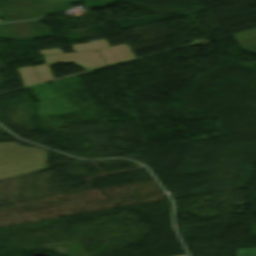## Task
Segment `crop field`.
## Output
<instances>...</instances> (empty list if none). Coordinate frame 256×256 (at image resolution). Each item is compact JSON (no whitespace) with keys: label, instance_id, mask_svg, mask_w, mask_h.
Listing matches in <instances>:
<instances>
[{"label":"crop field","instance_id":"8a807250","mask_svg":"<svg viewBox=\"0 0 256 256\" xmlns=\"http://www.w3.org/2000/svg\"><path fill=\"white\" fill-rule=\"evenodd\" d=\"M48 153L16 143L0 144V180L49 169Z\"/></svg>","mask_w":256,"mask_h":256},{"label":"crop field","instance_id":"ac0d7876","mask_svg":"<svg viewBox=\"0 0 256 256\" xmlns=\"http://www.w3.org/2000/svg\"><path fill=\"white\" fill-rule=\"evenodd\" d=\"M0 37L16 40L31 39L26 22L1 24Z\"/></svg>","mask_w":256,"mask_h":256},{"label":"crop field","instance_id":"34b2d1b8","mask_svg":"<svg viewBox=\"0 0 256 256\" xmlns=\"http://www.w3.org/2000/svg\"><path fill=\"white\" fill-rule=\"evenodd\" d=\"M0 18L4 19V20L1 21L0 23H2V22H10V21L25 20V19H23V18L16 17V16H13V15H10V14L4 13V12H1V11H0Z\"/></svg>","mask_w":256,"mask_h":256},{"label":"crop field","instance_id":"412701ff","mask_svg":"<svg viewBox=\"0 0 256 256\" xmlns=\"http://www.w3.org/2000/svg\"><path fill=\"white\" fill-rule=\"evenodd\" d=\"M237 256H256V248L236 250Z\"/></svg>","mask_w":256,"mask_h":256},{"label":"crop field","instance_id":"f4fd0767","mask_svg":"<svg viewBox=\"0 0 256 256\" xmlns=\"http://www.w3.org/2000/svg\"><path fill=\"white\" fill-rule=\"evenodd\" d=\"M185 256V255H184Z\"/></svg>","mask_w":256,"mask_h":256}]
</instances>
